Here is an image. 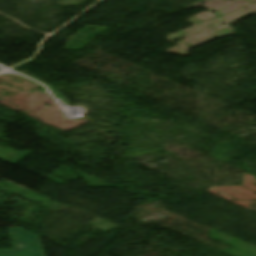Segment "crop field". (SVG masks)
I'll return each instance as SVG.
<instances>
[{"label":"crop field","mask_w":256,"mask_h":256,"mask_svg":"<svg viewBox=\"0 0 256 256\" xmlns=\"http://www.w3.org/2000/svg\"><path fill=\"white\" fill-rule=\"evenodd\" d=\"M13 250H0V256H45L39 237L21 229H10Z\"/></svg>","instance_id":"8a807250"}]
</instances>
